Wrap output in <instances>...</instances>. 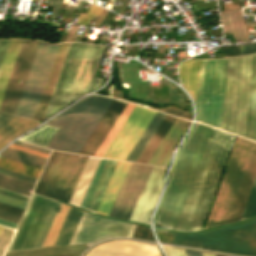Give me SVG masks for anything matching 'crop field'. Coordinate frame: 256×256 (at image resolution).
I'll return each mask as SVG.
<instances>
[{"label": "crop field", "mask_w": 256, "mask_h": 256, "mask_svg": "<svg viewBox=\"0 0 256 256\" xmlns=\"http://www.w3.org/2000/svg\"><path fill=\"white\" fill-rule=\"evenodd\" d=\"M105 162H106V160H104V159L101 160V162H100V164H99V166L97 168V171H96V173H95V175H94V177H93V179L91 181V184H90V186H89V188H88V190L86 192V195H85V197H84V199H83V201H82L80 206H82L84 208L86 207V205H87V203L89 201V198H90V196H91V194H92V192L94 190V187H95V185H96V183L98 181V178H99V176L101 174V171H102V169H103V167L105 165Z\"/></svg>", "instance_id": "obj_38"}, {"label": "crop field", "mask_w": 256, "mask_h": 256, "mask_svg": "<svg viewBox=\"0 0 256 256\" xmlns=\"http://www.w3.org/2000/svg\"><path fill=\"white\" fill-rule=\"evenodd\" d=\"M112 101L92 95L50 120L47 124L59 128L48 148L79 153Z\"/></svg>", "instance_id": "obj_6"}, {"label": "crop field", "mask_w": 256, "mask_h": 256, "mask_svg": "<svg viewBox=\"0 0 256 256\" xmlns=\"http://www.w3.org/2000/svg\"><path fill=\"white\" fill-rule=\"evenodd\" d=\"M0 156L17 160L30 165H34L37 167H41V168L43 167L46 161L45 158L38 157L29 153H25L16 149L9 148V147H7L4 151H2L0 153Z\"/></svg>", "instance_id": "obj_31"}, {"label": "crop field", "mask_w": 256, "mask_h": 256, "mask_svg": "<svg viewBox=\"0 0 256 256\" xmlns=\"http://www.w3.org/2000/svg\"><path fill=\"white\" fill-rule=\"evenodd\" d=\"M174 120H175V117L166 115V117L162 121L161 125L159 126V128L157 129L155 134L153 135L152 139L150 140V142L148 143V145L142 152L141 156L137 160L138 163L147 164L150 157L156 150L157 146L159 145V143L165 136L166 132L168 131V129L170 128V126L172 125Z\"/></svg>", "instance_id": "obj_28"}, {"label": "crop field", "mask_w": 256, "mask_h": 256, "mask_svg": "<svg viewBox=\"0 0 256 256\" xmlns=\"http://www.w3.org/2000/svg\"><path fill=\"white\" fill-rule=\"evenodd\" d=\"M167 256H215L214 254H208V253H199L191 250H181V249H176V248H168V247H163Z\"/></svg>", "instance_id": "obj_39"}, {"label": "crop field", "mask_w": 256, "mask_h": 256, "mask_svg": "<svg viewBox=\"0 0 256 256\" xmlns=\"http://www.w3.org/2000/svg\"><path fill=\"white\" fill-rule=\"evenodd\" d=\"M38 42L22 40L0 103V111L14 113Z\"/></svg>", "instance_id": "obj_13"}, {"label": "crop field", "mask_w": 256, "mask_h": 256, "mask_svg": "<svg viewBox=\"0 0 256 256\" xmlns=\"http://www.w3.org/2000/svg\"><path fill=\"white\" fill-rule=\"evenodd\" d=\"M101 11H102V8L92 4L88 13L87 14L81 13L76 23L88 25L92 15L99 16Z\"/></svg>", "instance_id": "obj_40"}, {"label": "crop field", "mask_w": 256, "mask_h": 256, "mask_svg": "<svg viewBox=\"0 0 256 256\" xmlns=\"http://www.w3.org/2000/svg\"><path fill=\"white\" fill-rule=\"evenodd\" d=\"M155 111L135 105L103 157L125 160Z\"/></svg>", "instance_id": "obj_11"}, {"label": "crop field", "mask_w": 256, "mask_h": 256, "mask_svg": "<svg viewBox=\"0 0 256 256\" xmlns=\"http://www.w3.org/2000/svg\"><path fill=\"white\" fill-rule=\"evenodd\" d=\"M164 117H165V114L156 112V114L150 121L149 125L147 126V128L145 129V131L143 132V134L141 135V137L133 147L132 151L126 158L127 161L136 162V160L140 156L141 152L149 142L150 138L152 137V135L154 134V132L156 131V129L158 128V126L160 125Z\"/></svg>", "instance_id": "obj_26"}, {"label": "crop field", "mask_w": 256, "mask_h": 256, "mask_svg": "<svg viewBox=\"0 0 256 256\" xmlns=\"http://www.w3.org/2000/svg\"><path fill=\"white\" fill-rule=\"evenodd\" d=\"M2 226H0V230H1Z\"/></svg>", "instance_id": "obj_50"}, {"label": "crop field", "mask_w": 256, "mask_h": 256, "mask_svg": "<svg viewBox=\"0 0 256 256\" xmlns=\"http://www.w3.org/2000/svg\"><path fill=\"white\" fill-rule=\"evenodd\" d=\"M133 107H134V104L128 103V105L126 106V108L124 109V111L122 112V114L120 115V117L118 118L114 126L112 127L111 131L109 132V134L107 135V137L105 138V140L103 141V143L101 144L97 152L95 153L96 156H100V157L102 156V154L110 144L111 140L113 139V137L115 136V134L117 133V131L119 130V128L121 127V125L123 124V122L125 121V119L127 118L128 114L130 113Z\"/></svg>", "instance_id": "obj_34"}, {"label": "crop field", "mask_w": 256, "mask_h": 256, "mask_svg": "<svg viewBox=\"0 0 256 256\" xmlns=\"http://www.w3.org/2000/svg\"><path fill=\"white\" fill-rule=\"evenodd\" d=\"M13 233L14 230L3 227L0 233V256L3 255Z\"/></svg>", "instance_id": "obj_41"}, {"label": "crop field", "mask_w": 256, "mask_h": 256, "mask_svg": "<svg viewBox=\"0 0 256 256\" xmlns=\"http://www.w3.org/2000/svg\"><path fill=\"white\" fill-rule=\"evenodd\" d=\"M174 243L256 256V220L200 234L174 233Z\"/></svg>", "instance_id": "obj_7"}, {"label": "crop field", "mask_w": 256, "mask_h": 256, "mask_svg": "<svg viewBox=\"0 0 256 256\" xmlns=\"http://www.w3.org/2000/svg\"><path fill=\"white\" fill-rule=\"evenodd\" d=\"M135 225L92 216L84 212L70 242H87V247L112 237H130Z\"/></svg>", "instance_id": "obj_12"}, {"label": "crop field", "mask_w": 256, "mask_h": 256, "mask_svg": "<svg viewBox=\"0 0 256 256\" xmlns=\"http://www.w3.org/2000/svg\"><path fill=\"white\" fill-rule=\"evenodd\" d=\"M234 137L212 129L176 229L202 228Z\"/></svg>", "instance_id": "obj_2"}, {"label": "crop field", "mask_w": 256, "mask_h": 256, "mask_svg": "<svg viewBox=\"0 0 256 256\" xmlns=\"http://www.w3.org/2000/svg\"><path fill=\"white\" fill-rule=\"evenodd\" d=\"M165 169L153 167L129 220L150 223Z\"/></svg>", "instance_id": "obj_15"}, {"label": "crop field", "mask_w": 256, "mask_h": 256, "mask_svg": "<svg viewBox=\"0 0 256 256\" xmlns=\"http://www.w3.org/2000/svg\"><path fill=\"white\" fill-rule=\"evenodd\" d=\"M256 176V143L238 138L206 227L241 218Z\"/></svg>", "instance_id": "obj_4"}, {"label": "crop field", "mask_w": 256, "mask_h": 256, "mask_svg": "<svg viewBox=\"0 0 256 256\" xmlns=\"http://www.w3.org/2000/svg\"><path fill=\"white\" fill-rule=\"evenodd\" d=\"M199 60H187L180 63L178 74L184 88L195 100Z\"/></svg>", "instance_id": "obj_24"}, {"label": "crop field", "mask_w": 256, "mask_h": 256, "mask_svg": "<svg viewBox=\"0 0 256 256\" xmlns=\"http://www.w3.org/2000/svg\"><path fill=\"white\" fill-rule=\"evenodd\" d=\"M9 147H12V148H16V149H19V150H22V151H26V152H29V153H32V154H36V155H39V156H42V157H46L47 158V154H43V153H40V152H37V151H33V150H30V149H27V148H23V147H20V146H17V145H9Z\"/></svg>", "instance_id": "obj_47"}, {"label": "crop field", "mask_w": 256, "mask_h": 256, "mask_svg": "<svg viewBox=\"0 0 256 256\" xmlns=\"http://www.w3.org/2000/svg\"><path fill=\"white\" fill-rule=\"evenodd\" d=\"M126 105L127 102L114 99L80 153L94 155Z\"/></svg>", "instance_id": "obj_17"}, {"label": "crop field", "mask_w": 256, "mask_h": 256, "mask_svg": "<svg viewBox=\"0 0 256 256\" xmlns=\"http://www.w3.org/2000/svg\"><path fill=\"white\" fill-rule=\"evenodd\" d=\"M52 151L34 192L69 201L88 157Z\"/></svg>", "instance_id": "obj_8"}, {"label": "crop field", "mask_w": 256, "mask_h": 256, "mask_svg": "<svg viewBox=\"0 0 256 256\" xmlns=\"http://www.w3.org/2000/svg\"><path fill=\"white\" fill-rule=\"evenodd\" d=\"M58 45L39 42L14 114L34 118Z\"/></svg>", "instance_id": "obj_10"}, {"label": "crop field", "mask_w": 256, "mask_h": 256, "mask_svg": "<svg viewBox=\"0 0 256 256\" xmlns=\"http://www.w3.org/2000/svg\"><path fill=\"white\" fill-rule=\"evenodd\" d=\"M99 161L100 160L97 159H88L85 168L81 174V177L77 183V186L73 192V195L69 201L70 203H73L78 206L80 205Z\"/></svg>", "instance_id": "obj_25"}, {"label": "crop field", "mask_w": 256, "mask_h": 256, "mask_svg": "<svg viewBox=\"0 0 256 256\" xmlns=\"http://www.w3.org/2000/svg\"><path fill=\"white\" fill-rule=\"evenodd\" d=\"M68 209H69V206H67V205H65L63 203L61 204V206L59 208V211H58V213H57V215L55 217V220H54V222L52 224V227H51V229L49 231V234L47 233L48 236H47V238L45 240V243L43 242L44 245H43L42 248L50 247V246L53 245V243H54V241L56 239V236H57V234H58V232H59V230L61 228V225H62V223L64 221V218L66 216V213H67Z\"/></svg>", "instance_id": "obj_33"}, {"label": "crop field", "mask_w": 256, "mask_h": 256, "mask_svg": "<svg viewBox=\"0 0 256 256\" xmlns=\"http://www.w3.org/2000/svg\"><path fill=\"white\" fill-rule=\"evenodd\" d=\"M34 185V183L0 174V187L2 188H6L30 196Z\"/></svg>", "instance_id": "obj_32"}, {"label": "crop field", "mask_w": 256, "mask_h": 256, "mask_svg": "<svg viewBox=\"0 0 256 256\" xmlns=\"http://www.w3.org/2000/svg\"><path fill=\"white\" fill-rule=\"evenodd\" d=\"M216 255V254H215ZM216 256H221V255H216Z\"/></svg>", "instance_id": "obj_51"}, {"label": "crop field", "mask_w": 256, "mask_h": 256, "mask_svg": "<svg viewBox=\"0 0 256 256\" xmlns=\"http://www.w3.org/2000/svg\"><path fill=\"white\" fill-rule=\"evenodd\" d=\"M0 202L6 203L9 205H13V206H16L19 208H23V209L25 208V206L27 204L26 202H22V201L15 200V199L8 198V197L1 196V195H0Z\"/></svg>", "instance_id": "obj_42"}, {"label": "crop field", "mask_w": 256, "mask_h": 256, "mask_svg": "<svg viewBox=\"0 0 256 256\" xmlns=\"http://www.w3.org/2000/svg\"><path fill=\"white\" fill-rule=\"evenodd\" d=\"M82 213L80 210L70 208L54 246L69 243Z\"/></svg>", "instance_id": "obj_29"}, {"label": "crop field", "mask_w": 256, "mask_h": 256, "mask_svg": "<svg viewBox=\"0 0 256 256\" xmlns=\"http://www.w3.org/2000/svg\"><path fill=\"white\" fill-rule=\"evenodd\" d=\"M13 117H15L14 115H10V114H5V113H1L0 112V128L6 124L8 121H10ZM14 119V118H13ZM5 126V125H4Z\"/></svg>", "instance_id": "obj_48"}, {"label": "crop field", "mask_w": 256, "mask_h": 256, "mask_svg": "<svg viewBox=\"0 0 256 256\" xmlns=\"http://www.w3.org/2000/svg\"><path fill=\"white\" fill-rule=\"evenodd\" d=\"M131 163L119 161L95 213L108 215Z\"/></svg>", "instance_id": "obj_20"}, {"label": "crop field", "mask_w": 256, "mask_h": 256, "mask_svg": "<svg viewBox=\"0 0 256 256\" xmlns=\"http://www.w3.org/2000/svg\"><path fill=\"white\" fill-rule=\"evenodd\" d=\"M251 216H256V179L241 219Z\"/></svg>", "instance_id": "obj_37"}, {"label": "crop field", "mask_w": 256, "mask_h": 256, "mask_svg": "<svg viewBox=\"0 0 256 256\" xmlns=\"http://www.w3.org/2000/svg\"><path fill=\"white\" fill-rule=\"evenodd\" d=\"M107 161V160H106ZM118 161H113V160H108L105 167H104V170L99 178V181L95 187V190L90 198V201L86 207V210L88 211H91V212H95L96 208H97V205L102 197V194L107 186V183L113 173V170L116 166Z\"/></svg>", "instance_id": "obj_27"}, {"label": "crop field", "mask_w": 256, "mask_h": 256, "mask_svg": "<svg viewBox=\"0 0 256 256\" xmlns=\"http://www.w3.org/2000/svg\"><path fill=\"white\" fill-rule=\"evenodd\" d=\"M20 41L21 40H11V42L10 41H0V67H1L2 61L4 59L7 47L10 42V45L8 47L5 59L3 61V64H2V67L0 70V99L2 97L8 76L10 74Z\"/></svg>", "instance_id": "obj_22"}, {"label": "crop field", "mask_w": 256, "mask_h": 256, "mask_svg": "<svg viewBox=\"0 0 256 256\" xmlns=\"http://www.w3.org/2000/svg\"><path fill=\"white\" fill-rule=\"evenodd\" d=\"M60 204L33 194L7 251L41 248Z\"/></svg>", "instance_id": "obj_9"}, {"label": "crop field", "mask_w": 256, "mask_h": 256, "mask_svg": "<svg viewBox=\"0 0 256 256\" xmlns=\"http://www.w3.org/2000/svg\"><path fill=\"white\" fill-rule=\"evenodd\" d=\"M102 48L84 43L70 44L44 119L101 83L102 79L93 76Z\"/></svg>", "instance_id": "obj_5"}, {"label": "crop field", "mask_w": 256, "mask_h": 256, "mask_svg": "<svg viewBox=\"0 0 256 256\" xmlns=\"http://www.w3.org/2000/svg\"><path fill=\"white\" fill-rule=\"evenodd\" d=\"M156 247L160 255L163 256L158 245ZM156 247L152 244L134 241H118L92 247L93 249L91 248L92 250L86 256H160Z\"/></svg>", "instance_id": "obj_16"}, {"label": "crop field", "mask_w": 256, "mask_h": 256, "mask_svg": "<svg viewBox=\"0 0 256 256\" xmlns=\"http://www.w3.org/2000/svg\"><path fill=\"white\" fill-rule=\"evenodd\" d=\"M151 168L131 164L109 215L129 219Z\"/></svg>", "instance_id": "obj_14"}, {"label": "crop field", "mask_w": 256, "mask_h": 256, "mask_svg": "<svg viewBox=\"0 0 256 256\" xmlns=\"http://www.w3.org/2000/svg\"><path fill=\"white\" fill-rule=\"evenodd\" d=\"M0 167L10 169L16 172L27 174L33 177H39L41 169L31 167L19 162H15L6 158L0 157Z\"/></svg>", "instance_id": "obj_35"}, {"label": "crop field", "mask_w": 256, "mask_h": 256, "mask_svg": "<svg viewBox=\"0 0 256 256\" xmlns=\"http://www.w3.org/2000/svg\"><path fill=\"white\" fill-rule=\"evenodd\" d=\"M56 130L57 127L45 124L20 139L47 147Z\"/></svg>", "instance_id": "obj_30"}, {"label": "crop field", "mask_w": 256, "mask_h": 256, "mask_svg": "<svg viewBox=\"0 0 256 256\" xmlns=\"http://www.w3.org/2000/svg\"><path fill=\"white\" fill-rule=\"evenodd\" d=\"M38 123L35 120L16 116L0 129V149L11 139L24 133Z\"/></svg>", "instance_id": "obj_23"}, {"label": "crop field", "mask_w": 256, "mask_h": 256, "mask_svg": "<svg viewBox=\"0 0 256 256\" xmlns=\"http://www.w3.org/2000/svg\"><path fill=\"white\" fill-rule=\"evenodd\" d=\"M0 194L8 196V197L15 198V199H19V200H22V201H26V202L29 199V196H25V195L15 193V192H12V191H9V190H5V189H2V188H0Z\"/></svg>", "instance_id": "obj_43"}, {"label": "crop field", "mask_w": 256, "mask_h": 256, "mask_svg": "<svg viewBox=\"0 0 256 256\" xmlns=\"http://www.w3.org/2000/svg\"><path fill=\"white\" fill-rule=\"evenodd\" d=\"M226 64L200 61L197 87V120L220 129ZM222 129L256 141V54L228 58Z\"/></svg>", "instance_id": "obj_1"}, {"label": "crop field", "mask_w": 256, "mask_h": 256, "mask_svg": "<svg viewBox=\"0 0 256 256\" xmlns=\"http://www.w3.org/2000/svg\"><path fill=\"white\" fill-rule=\"evenodd\" d=\"M23 211V209L0 203V219L2 220L17 224Z\"/></svg>", "instance_id": "obj_36"}, {"label": "crop field", "mask_w": 256, "mask_h": 256, "mask_svg": "<svg viewBox=\"0 0 256 256\" xmlns=\"http://www.w3.org/2000/svg\"><path fill=\"white\" fill-rule=\"evenodd\" d=\"M0 225L6 226V227H9V228H13V229H15V227H16V224H12V223L2 221V220H0Z\"/></svg>", "instance_id": "obj_49"}, {"label": "crop field", "mask_w": 256, "mask_h": 256, "mask_svg": "<svg viewBox=\"0 0 256 256\" xmlns=\"http://www.w3.org/2000/svg\"><path fill=\"white\" fill-rule=\"evenodd\" d=\"M190 123L189 121L176 118L148 164L164 166L169 154L176 148Z\"/></svg>", "instance_id": "obj_18"}, {"label": "crop field", "mask_w": 256, "mask_h": 256, "mask_svg": "<svg viewBox=\"0 0 256 256\" xmlns=\"http://www.w3.org/2000/svg\"><path fill=\"white\" fill-rule=\"evenodd\" d=\"M220 15L224 32L232 33L235 40H242V42L250 41L241 9L220 12Z\"/></svg>", "instance_id": "obj_21"}, {"label": "crop field", "mask_w": 256, "mask_h": 256, "mask_svg": "<svg viewBox=\"0 0 256 256\" xmlns=\"http://www.w3.org/2000/svg\"><path fill=\"white\" fill-rule=\"evenodd\" d=\"M225 57L241 55L239 46L223 47Z\"/></svg>", "instance_id": "obj_45"}, {"label": "crop field", "mask_w": 256, "mask_h": 256, "mask_svg": "<svg viewBox=\"0 0 256 256\" xmlns=\"http://www.w3.org/2000/svg\"><path fill=\"white\" fill-rule=\"evenodd\" d=\"M211 129L196 122L179 148L158 208L157 225L176 228Z\"/></svg>", "instance_id": "obj_3"}, {"label": "crop field", "mask_w": 256, "mask_h": 256, "mask_svg": "<svg viewBox=\"0 0 256 256\" xmlns=\"http://www.w3.org/2000/svg\"><path fill=\"white\" fill-rule=\"evenodd\" d=\"M13 144H17V145H20V146H23V147H27V148H30V149H33V150H37V151H40V152H43V153H49L50 150L48 149H45V148H42V147H39V146H36V145H32V144H29V143H26V142H23V141H20V140H16L15 142H13Z\"/></svg>", "instance_id": "obj_44"}, {"label": "crop field", "mask_w": 256, "mask_h": 256, "mask_svg": "<svg viewBox=\"0 0 256 256\" xmlns=\"http://www.w3.org/2000/svg\"><path fill=\"white\" fill-rule=\"evenodd\" d=\"M242 55L256 52V43L240 46Z\"/></svg>", "instance_id": "obj_46"}, {"label": "crop field", "mask_w": 256, "mask_h": 256, "mask_svg": "<svg viewBox=\"0 0 256 256\" xmlns=\"http://www.w3.org/2000/svg\"><path fill=\"white\" fill-rule=\"evenodd\" d=\"M69 44L70 43H65V44L59 45V48H58L54 63L52 65V68H51L41 101L39 103V106H38V109H37V112H36V115L34 118L36 120L42 121L44 118L45 112L47 110V107H48L52 92L54 90L59 72L61 70L66 52L68 50Z\"/></svg>", "instance_id": "obj_19"}]
</instances>
